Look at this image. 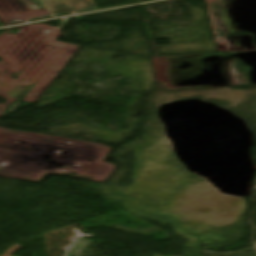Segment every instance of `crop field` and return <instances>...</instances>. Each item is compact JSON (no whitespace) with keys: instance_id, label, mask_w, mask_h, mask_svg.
<instances>
[{"instance_id":"obj_1","label":"crop field","mask_w":256,"mask_h":256,"mask_svg":"<svg viewBox=\"0 0 256 256\" xmlns=\"http://www.w3.org/2000/svg\"><path fill=\"white\" fill-rule=\"evenodd\" d=\"M45 9L73 5L78 12L97 8L92 0H40Z\"/></svg>"},{"instance_id":"obj_2","label":"crop field","mask_w":256,"mask_h":256,"mask_svg":"<svg viewBox=\"0 0 256 256\" xmlns=\"http://www.w3.org/2000/svg\"><path fill=\"white\" fill-rule=\"evenodd\" d=\"M49 11H50V13H51L53 16L60 15V14H62V13H66V12H70V13H75V12H77L73 6L64 7V8H58V9H52V10H49ZM49 11H48V12H49Z\"/></svg>"}]
</instances>
